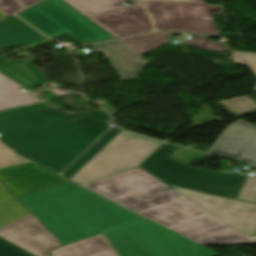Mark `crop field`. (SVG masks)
Segmentation results:
<instances>
[{
  "mask_svg": "<svg viewBox=\"0 0 256 256\" xmlns=\"http://www.w3.org/2000/svg\"><path fill=\"white\" fill-rule=\"evenodd\" d=\"M84 187L200 245L256 243L140 169Z\"/></svg>",
  "mask_w": 256,
  "mask_h": 256,
  "instance_id": "obj_1",
  "label": "crop field"
},
{
  "mask_svg": "<svg viewBox=\"0 0 256 256\" xmlns=\"http://www.w3.org/2000/svg\"><path fill=\"white\" fill-rule=\"evenodd\" d=\"M108 117L101 109L72 114L48 109L0 120V140L60 173L109 127Z\"/></svg>",
  "mask_w": 256,
  "mask_h": 256,
  "instance_id": "obj_2",
  "label": "crop field"
},
{
  "mask_svg": "<svg viewBox=\"0 0 256 256\" xmlns=\"http://www.w3.org/2000/svg\"><path fill=\"white\" fill-rule=\"evenodd\" d=\"M18 199L63 244L143 219L72 182Z\"/></svg>",
  "mask_w": 256,
  "mask_h": 256,
  "instance_id": "obj_3",
  "label": "crop field"
},
{
  "mask_svg": "<svg viewBox=\"0 0 256 256\" xmlns=\"http://www.w3.org/2000/svg\"><path fill=\"white\" fill-rule=\"evenodd\" d=\"M105 234L120 256L218 255L148 219Z\"/></svg>",
  "mask_w": 256,
  "mask_h": 256,
  "instance_id": "obj_4",
  "label": "crop field"
},
{
  "mask_svg": "<svg viewBox=\"0 0 256 256\" xmlns=\"http://www.w3.org/2000/svg\"><path fill=\"white\" fill-rule=\"evenodd\" d=\"M177 148L164 143L140 167L166 183L236 198L246 174L218 173L182 164L168 157Z\"/></svg>",
  "mask_w": 256,
  "mask_h": 256,
  "instance_id": "obj_5",
  "label": "crop field"
},
{
  "mask_svg": "<svg viewBox=\"0 0 256 256\" xmlns=\"http://www.w3.org/2000/svg\"><path fill=\"white\" fill-rule=\"evenodd\" d=\"M17 15L51 39L65 33L85 43L114 39L64 0H45Z\"/></svg>",
  "mask_w": 256,
  "mask_h": 256,
  "instance_id": "obj_6",
  "label": "crop field"
},
{
  "mask_svg": "<svg viewBox=\"0 0 256 256\" xmlns=\"http://www.w3.org/2000/svg\"><path fill=\"white\" fill-rule=\"evenodd\" d=\"M161 144L122 130L71 180L83 184L138 166Z\"/></svg>",
  "mask_w": 256,
  "mask_h": 256,
  "instance_id": "obj_7",
  "label": "crop field"
},
{
  "mask_svg": "<svg viewBox=\"0 0 256 256\" xmlns=\"http://www.w3.org/2000/svg\"><path fill=\"white\" fill-rule=\"evenodd\" d=\"M151 15L156 30L196 34H217L210 12L219 6L205 3L145 1L140 3Z\"/></svg>",
  "mask_w": 256,
  "mask_h": 256,
  "instance_id": "obj_8",
  "label": "crop field"
},
{
  "mask_svg": "<svg viewBox=\"0 0 256 256\" xmlns=\"http://www.w3.org/2000/svg\"><path fill=\"white\" fill-rule=\"evenodd\" d=\"M245 236L256 230V204L170 186Z\"/></svg>",
  "mask_w": 256,
  "mask_h": 256,
  "instance_id": "obj_9",
  "label": "crop field"
},
{
  "mask_svg": "<svg viewBox=\"0 0 256 256\" xmlns=\"http://www.w3.org/2000/svg\"><path fill=\"white\" fill-rule=\"evenodd\" d=\"M207 153L243 161L256 167V126L237 120L219 136Z\"/></svg>",
  "mask_w": 256,
  "mask_h": 256,
  "instance_id": "obj_10",
  "label": "crop field"
},
{
  "mask_svg": "<svg viewBox=\"0 0 256 256\" xmlns=\"http://www.w3.org/2000/svg\"><path fill=\"white\" fill-rule=\"evenodd\" d=\"M0 236L37 256H49L60 242L31 214L0 229Z\"/></svg>",
  "mask_w": 256,
  "mask_h": 256,
  "instance_id": "obj_11",
  "label": "crop field"
},
{
  "mask_svg": "<svg viewBox=\"0 0 256 256\" xmlns=\"http://www.w3.org/2000/svg\"><path fill=\"white\" fill-rule=\"evenodd\" d=\"M0 182L15 196L68 182L34 163L0 169Z\"/></svg>",
  "mask_w": 256,
  "mask_h": 256,
  "instance_id": "obj_12",
  "label": "crop field"
},
{
  "mask_svg": "<svg viewBox=\"0 0 256 256\" xmlns=\"http://www.w3.org/2000/svg\"><path fill=\"white\" fill-rule=\"evenodd\" d=\"M90 18L116 38L153 30L147 13L137 4Z\"/></svg>",
  "mask_w": 256,
  "mask_h": 256,
  "instance_id": "obj_13",
  "label": "crop field"
},
{
  "mask_svg": "<svg viewBox=\"0 0 256 256\" xmlns=\"http://www.w3.org/2000/svg\"><path fill=\"white\" fill-rule=\"evenodd\" d=\"M93 46L107 55L122 80L137 78L144 65L149 63L118 40Z\"/></svg>",
  "mask_w": 256,
  "mask_h": 256,
  "instance_id": "obj_14",
  "label": "crop field"
},
{
  "mask_svg": "<svg viewBox=\"0 0 256 256\" xmlns=\"http://www.w3.org/2000/svg\"><path fill=\"white\" fill-rule=\"evenodd\" d=\"M20 20L13 16L0 22V64L8 62L1 57V51L5 47L27 44L34 49L49 41Z\"/></svg>",
  "mask_w": 256,
  "mask_h": 256,
  "instance_id": "obj_15",
  "label": "crop field"
},
{
  "mask_svg": "<svg viewBox=\"0 0 256 256\" xmlns=\"http://www.w3.org/2000/svg\"><path fill=\"white\" fill-rule=\"evenodd\" d=\"M51 256H116L101 235L60 247Z\"/></svg>",
  "mask_w": 256,
  "mask_h": 256,
  "instance_id": "obj_16",
  "label": "crop field"
},
{
  "mask_svg": "<svg viewBox=\"0 0 256 256\" xmlns=\"http://www.w3.org/2000/svg\"><path fill=\"white\" fill-rule=\"evenodd\" d=\"M27 64H23L22 60H13L0 65V72L27 87L35 88L46 83L41 72H39L29 60H25ZM39 80V82H36Z\"/></svg>",
  "mask_w": 256,
  "mask_h": 256,
  "instance_id": "obj_17",
  "label": "crop field"
},
{
  "mask_svg": "<svg viewBox=\"0 0 256 256\" xmlns=\"http://www.w3.org/2000/svg\"><path fill=\"white\" fill-rule=\"evenodd\" d=\"M17 88V84L0 75V109L39 101L33 95L24 94Z\"/></svg>",
  "mask_w": 256,
  "mask_h": 256,
  "instance_id": "obj_18",
  "label": "crop field"
},
{
  "mask_svg": "<svg viewBox=\"0 0 256 256\" xmlns=\"http://www.w3.org/2000/svg\"><path fill=\"white\" fill-rule=\"evenodd\" d=\"M172 34L171 32H154L139 36L120 39L122 43L136 52L138 55H143L155 48H158L168 42L166 37Z\"/></svg>",
  "mask_w": 256,
  "mask_h": 256,
  "instance_id": "obj_19",
  "label": "crop field"
},
{
  "mask_svg": "<svg viewBox=\"0 0 256 256\" xmlns=\"http://www.w3.org/2000/svg\"><path fill=\"white\" fill-rule=\"evenodd\" d=\"M121 129L116 128L112 132H107L84 154H82L63 174L62 176L71 179L88 161H90Z\"/></svg>",
  "mask_w": 256,
  "mask_h": 256,
  "instance_id": "obj_20",
  "label": "crop field"
},
{
  "mask_svg": "<svg viewBox=\"0 0 256 256\" xmlns=\"http://www.w3.org/2000/svg\"><path fill=\"white\" fill-rule=\"evenodd\" d=\"M79 11L90 17L120 7V3L129 0H66Z\"/></svg>",
  "mask_w": 256,
  "mask_h": 256,
  "instance_id": "obj_21",
  "label": "crop field"
},
{
  "mask_svg": "<svg viewBox=\"0 0 256 256\" xmlns=\"http://www.w3.org/2000/svg\"><path fill=\"white\" fill-rule=\"evenodd\" d=\"M220 103H222L237 116L256 112V105L246 96L232 100L221 101Z\"/></svg>",
  "mask_w": 256,
  "mask_h": 256,
  "instance_id": "obj_22",
  "label": "crop field"
},
{
  "mask_svg": "<svg viewBox=\"0 0 256 256\" xmlns=\"http://www.w3.org/2000/svg\"><path fill=\"white\" fill-rule=\"evenodd\" d=\"M205 37H212V36H198L197 39L185 41L184 44L191 45L194 47L206 49V50H212L217 52H224L228 51L229 49L226 48L224 45L213 42Z\"/></svg>",
  "mask_w": 256,
  "mask_h": 256,
  "instance_id": "obj_23",
  "label": "crop field"
},
{
  "mask_svg": "<svg viewBox=\"0 0 256 256\" xmlns=\"http://www.w3.org/2000/svg\"><path fill=\"white\" fill-rule=\"evenodd\" d=\"M237 199L256 203V173L248 176Z\"/></svg>",
  "mask_w": 256,
  "mask_h": 256,
  "instance_id": "obj_24",
  "label": "crop field"
},
{
  "mask_svg": "<svg viewBox=\"0 0 256 256\" xmlns=\"http://www.w3.org/2000/svg\"><path fill=\"white\" fill-rule=\"evenodd\" d=\"M232 55L235 62L249 65L250 68L253 70V72L256 74V54L240 52V51H232ZM254 92H256V88Z\"/></svg>",
  "mask_w": 256,
  "mask_h": 256,
  "instance_id": "obj_25",
  "label": "crop field"
},
{
  "mask_svg": "<svg viewBox=\"0 0 256 256\" xmlns=\"http://www.w3.org/2000/svg\"><path fill=\"white\" fill-rule=\"evenodd\" d=\"M48 108H49L48 105L41 103V104L27 106L23 108L14 109V110L4 111V112H0V119L21 115L25 113L35 112L39 110H44Z\"/></svg>",
  "mask_w": 256,
  "mask_h": 256,
  "instance_id": "obj_26",
  "label": "crop field"
},
{
  "mask_svg": "<svg viewBox=\"0 0 256 256\" xmlns=\"http://www.w3.org/2000/svg\"><path fill=\"white\" fill-rule=\"evenodd\" d=\"M3 147L5 145L0 142V167L28 161L14 153L9 154Z\"/></svg>",
  "mask_w": 256,
  "mask_h": 256,
  "instance_id": "obj_27",
  "label": "crop field"
},
{
  "mask_svg": "<svg viewBox=\"0 0 256 256\" xmlns=\"http://www.w3.org/2000/svg\"><path fill=\"white\" fill-rule=\"evenodd\" d=\"M0 256H32L0 238Z\"/></svg>",
  "mask_w": 256,
  "mask_h": 256,
  "instance_id": "obj_28",
  "label": "crop field"
},
{
  "mask_svg": "<svg viewBox=\"0 0 256 256\" xmlns=\"http://www.w3.org/2000/svg\"><path fill=\"white\" fill-rule=\"evenodd\" d=\"M0 9L5 14H15L25 7L19 0H0Z\"/></svg>",
  "mask_w": 256,
  "mask_h": 256,
  "instance_id": "obj_29",
  "label": "crop field"
},
{
  "mask_svg": "<svg viewBox=\"0 0 256 256\" xmlns=\"http://www.w3.org/2000/svg\"><path fill=\"white\" fill-rule=\"evenodd\" d=\"M27 7L41 1V0H21Z\"/></svg>",
  "mask_w": 256,
  "mask_h": 256,
  "instance_id": "obj_30",
  "label": "crop field"
},
{
  "mask_svg": "<svg viewBox=\"0 0 256 256\" xmlns=\"http://www.w3.org/2000/svg\"><path fill=\"white\" fill-rule=\"evenodd\" d=\"M138 3L145 0H136ZM170 1H186V2H205V0H170Z\"/></svg>",
  "mask_w": 256,
  "mask_h": 256,
  "instance_id": "obj_31",
  "label": "crop field"
},
{
  "mask_svg": "<svg viewBox=\"0 0 256 256\" xmlns=\"http://www.w3.org/2000/svg\"><path fill=\"white\" fill-rule=\"evenodd\" d=\"M5 19V17L0 13V20Z\"/></svg>",
  "mask_w": 256,
  "mask_h": 256,
  "instance_id": "obj_32",
  "label": "crop field"
},
{
  "mask_svg": "<svg viewBox=\"0 0 256 256\" xmlns=\"http://www.w3.org/2000/svg\"><path fill=\"white\" fill-rule=\"evenodd\" d=\"M253 236H256V233Z\"/></svg>",
  "mask_w": 256,
  "mask_h": 256,
  "instance_id": "obj_33",
  "label": "crop field"
}]
</instances>
